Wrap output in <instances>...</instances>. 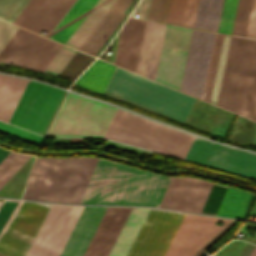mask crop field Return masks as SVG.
Here are the masks:
<instances>
[{"instance_id": "obj_13", "label": "crop field", "mask_w": 256, "mask_h": 256, "mask_svg": "<svg viewBox=\"0 0 256 256\" xmlns=\"http://www.w3.org/2000/svg\"><path fill=\"white\" fill-rule=\"evenodd\" d=\"M186 160L256 178V155L195 138Z\"/></svg>"}, {"instance_id": "obj_24", "label": "crop field", "mask_w": 256, "mask_h": 256, "mask_svg": "<svg viewBox=\"0 0 256 256\" xmlns=\"http://www.w3.org/2000/svg\"><path fill=\"white\" fill-rule=\"evenodd\" d=\"M28 80L0 74V119L8 122Z\"/></svg>"}, {"instance_id": "obj_15", "label": "crop field", "mask_w": 256, "mask_h": 256, "mask_svg": "<svg viewBox=\"0 0 256 256\" xmlns=\"http://www.w3.org/2000/svg\"><path fill=\"white\" fill-rule=\"evenodd\" d=\"M97 160L64 159L46 201L79 203Z\"/></svg>"}, {"instance_id": "obj_41", "label": "crop field", "mask_w": 256, "mask_h": 256, "mask_svg": "<svg viewBox=\"0 0 256 256\" xmlns=\"http://www.w3.org/2000/svg\"><path fill=\"white\" fill-rule=\"evenodd\" d=\"M246 37L256 38V0L253 1Z\"/></svg>"}, {"instance_id": "obj_17", "label": "crop field", "mask_w": 256, "mask_h": 256, "mask_svg": "<svg viewBox=\"0 0 256 256\" xmlns=\"http://www.w3.org/2000/svg\"><path fill=\"white\" fill-rule=\"evenodd\" d=\"M212 185L195 178H172L159 207L200 213Z\"/></svg>"}, {"instance_id": "obj_30", "label": "crop field", "mask_w": 256, "mask_h": 256, "mask_svg": "<svg viewBox=\"0 0 256 256\" xmlns=\"http://www.w3.org/2000/svg\"><path fill=\"white\" fill-rule=\"evenodd\" d=\"M30 158V156L11 152L0 163V189Z\"/></svg>"}, {"instance_id": "obj_14", "label": "crop field", "mask_w": 256, "mask_h": 256, "mask_svg": "<svg viewBox=\"0 0 256 256\" xmlns=\"http://www.w3.org/2000/svg\"><path fill=\"white\" fill-rule=\"evenodd\" d=\"M216 34L193 29L180 90L202 99Z\"/></svg>"}, {"instance_id": "obj_18", "label": "crop field", "mask_w": 256, "mask_h": 256, "mask_svg": "<svg viewBox=\"0 0 256 256\" xmlns=\"http://www.w3.org/2000/svg\"><path fill=\"white\" fill-rule=\"evenodd\" d=\"M145 21L128 18L121 28L118 38L115 65L136 70L138 54Z\"/></svg>"}, {"instance_id": "obj_16", "label": "crop field", "mask_w": 256, "mask_h": 256, "mask_svg": "<svg viewBox=\"0 0 256 256\" xmlns=\"http://www.w3.org/2000/svg\"><path fill=\"white\" fill-rule=\"evenodd\" d=\"M217 220L224 224L215 225ZM229 221L186 213L165 256H192Z\"/></svg>"}, {"instance_id": "obj_26", "label": "crop field", "mask_w": 256, "mask_h": 256, "mask_svg": "<svg viewBox=\"0 0 256 256\" xmlns=\"http://www.w3.org/2000/svg\"><path fill=\"white\" fill-rule=\"evenodd\" d=\"M114 69L115 66L97 59L75 83L102 94Z\"/></svg>"}, {"instance_id": "obj_39", "label": "crop field", "mask_w": 256, "mask_h": 256, "mask_svg": "<svg viewBox=\"0 0 256 256\" xmlns=\"http://www.w3.org/2000/svg\"><path fill=\"white\" fill-rule=\"evenodd\" d=\"M170 0H151L147 19L165 22Z\"/></svg>"}, {"instance_id": "obj_46", "label": "crop field", "mask_w": 256, "mask_h": 256, "mask_svg": "<svg viewBox=\"0 0 256 256\" xmlns=\"http://www.w3.org/2000/svg\"><path fill=\"white\" fill-rule=\"evenodd\" d=\"M250 256H256V246Z\"/></svg>"}, {"instance_id": "obj_25", "label": "crop field", "mask_w": 256, "mask_h": 256, "mask_svg": "<svg viewBox=\"0 0 256 256\" xmlns=\"http://www.w3.org/2000/svg\"><path fill=\"white\" fill-rule=\"evenodd\" d=\"M114 2L115 0H99L66 41L65 45L79 49Z\"/></svg>"}, {"instance_id": "obj_11", "label": "crop field", "mask_w": 256, "mask_h": 256, "mask_svg": "<svg viewBox=\"0 0 256 256\" xmlns=\"http://www.w3.org/2000/svg\"><path fill=\"white\" fill-rule=\"evenodd\" d=\"M183 215L150 209L127 256H163Z\"/></svg>"}, {"instance_id": "obj_27", "label": "crop field", "mask_w": 256, "mask_h": 256, "mask_svg": "<svg viewBox=\"0 0 256 256\" xmlns=\"http://www.w3.org/2000/svg\"><path fill=\"white\" fill-rule=\"evenodd\" d=\"M223 0H199L193 27L218 30Z\"/></svg>"}, {"instance_id": "obj_7", "label": "crop field", "mask_w": 256, "mask_h": 256, "mask_svg": "<svg viewBox=\"0 0 256 256\" xmlns=\"http://www.w3.org/2000/svg\"><path fill=\"white\" fill-rule=\"evenodd\" d=\"M115 111L69 93L47 136L103 137Z\"/></svg>"}, {"instance_id": "obj_1", "label": "crop field", "mask_w": 256, "mask_h": 256, "mask_svg": "<svg viewBox=\"0 0 256 256\" xmlns=\"http://www.w3.org/2000/svg\"><path fill=\"white\" fill-rule=\"evenodd\" d=\"M170 179L99 159L80 203L158 207Z\"/></svg>"}, {"instance_id": "obj_22", "label": "crop field", "mask_w": 256, "mask_h": 256, "mask_svg": "<svg viewBox=\"0 0 256 256\" xmlns=\"http://www.w3.org/2000/svg\"><path fill=\"white\" fill-rule=\"evenodd\" d=\"M71 206L53 204L27 256H47Z\"/></svg>"}, {"instance_id": "obj_5", "label": "crop field", "mask_w": 256, "mask_h": 256, "mask_svg": "<svg viewBox=\"0 0 256 256\" xmlns=\"http://www.w3.org/2000/svg\"><path fill=\"white\" fill-rule=\"evenodd\" d=\"M106 209L107 207L84 206L60 256H83ZM129 212L130 210L107 209L84 256H108Z\"/></svg>"}, {"instance_id": "obj_12", "label": "crop field", "mask_w": 256, "mask_h": 256, "mask_svg": "<svg viewBox=\"0 0 256 256\" xmlns=\"http://www.w3.org/2000/svg\"><path fill=\"white\" fill-rule=\"evenodd\" d=\"M191 31L166 24L155 81L179 90Z\"/></svg>"}, {"instance_id": "obj_38", "label": "crop field", "mask_w": 256, "mask_h": 256, "mask_svg": "<svg viewBox=\"0 0 256 256\" xmlns=\"http://www.w3.org/2000/svg\"><path fill=\"white\" fill-rule=\"evenodd\" d=\"M226 189L214 184L201 213L215 215Z\"/></svg>"}, {"instance_id": "obj_20", "label": "crop field", "mask_w": 256, "mask_h": 256, "mask_svg": "<svg viewBox=\"0 0 256 256\" xmlns=\"http://www.w3.org/2000/svg\"><path fill=\"white\" fill-rule=\"evenodd\" d=\"M165 24L146 21L136 72L153 80Z\"/></svg>"}, {"instance_id": "obj_2", "label": "crop field", "mask_w": 256, "mask_h": 256, "mask_svg": "<svg viewBox=\"0 0 256 256\" xmlns=\"http://www.w3.org/2000/svg\"><path fill=\"white\" fill-rule=\"evenodd\" d=\"M30 0H0V18L11 23ZM75 0H31L14 24L40 34L49 33ZM98 0H76L52 32L46 35L62 44Z\"/></svg>"}, {"instance_id": "obj_28", "label": "crop field", "mask_w": 256, "mask_h": 256, "mask_svg": "<svg viewBox=\"0 0 256 256\" xmlns=\"http://www.w3.org/2000/svg\"><path fill=\"white\" fill-rule=\"evenodd\" d=\"M198 0H171L166 22L192 27Z\"/></svg>"}, {"instance_id": "obj_10", "label": "crop field", "mask_w": 256, "mask_h": 256, "mask_svg": "<svg viewBox=\"0 0 256 256\" xmlns=\"http://www.w3.org/2000/svg\"><path fill=\"white\" fill-rule=\"evenodd\" d=\"M52 204L22 201L0 236V256H26Z\"/></svg>"}, {"instance_id": "obj_29", "label": "crop field", "mask_w": 256, "mask_h": 256, "mask_svg": "<svg viewBox=\"0 0 256 256\" xmlns=\"http://www.w3.org/2000/svg\"><path fill=\"white\" fill-rule=\"evenodd\" d=\"M249 195L228 188L216 215L239 218Z\"/></svg>"}, {"instance_id": "obj_9", "label": "crop field", "mask_w": 256, "mask_h": 256, "mask_svg": "<svg viewBox=\"0 0 256 256\" xmlns=\"http://www.w3.org/2000/svg\"><path fill=\"white\" fill-rule=\"evenodd\" d=\"M63 90L29 80L9 123L43 134Z\"/></svg>"}, {"instance_id": "obj_35", "label": "crop field", "mask_w": 256, "mask_h": 256, "mask_svg": "<svg viewBox=\"0 0 256 256\" xmlns=\"http://www.w3.org/2000/svg\"><path fill=\"white\" fill-rule=\"evenodd\" d=\"M229 38H230V36L224 35L221 52H220V56H219L213 91H212L211 100H210V102L215 105L217 103V98H218V93H219V88H220V83H221V78H222V73H223V68H224L228 43H229Z\"/></svg>"}, {"instance_id": "obj_21", "label": "crop field", "mask_w": 256, "mask_h": 256, "mask_svg": "<svg viewBox=\"0 0 256 256\" xmlns=\"http://www.w3.org/2000/svg\"><path fill=\"white\" fill-rule=\"evenodd\" d=\"M132 0H117L95 30L81 46L80 50L95 56L108 37L124 18V10Z\"/></svg>"}, {"instance_id": "obj_40", "label": "crop field", "mask_w": 256, "mask_h": 256, "mask_svg": "<svg viewBox=\"0 0 256 256\" xmlns=\"http://www.w3.org/2000/svg\"><path fill=\"white\" fill-rule=\"evenodd\" d=\"M4 201V200H3ZM20 202V201H19ZM18 202V204H19ZM3 203V202H2ZM17 202H11V201H4L3 205L0 208V231L3 228L4 224L6 223L8 217L10 216L11 212L13 211L14 207L16 206ZM17 204V206H18ZM17 206L15 207L14 211L12 212L11 216L9 217L8 221L14 214ZM7 221V222H8ZM7 224V223H6ZM5 224V225H6ZM5 227V226H4ZM3 230V229H2Z\"/></svg>"}, {"instance_id": "obj_4", "label": "crop field", "mask_w": 256, "mask_h": 256, "mask_svg": "<svg viewBox=\"0 0 256 256\" xmlns=\"http://www.w3.org/2000/svg\"><path fill=\"white\" fill-rule=\"evenodd\" d=\"M104 138L184 159L195 137L117 109Z\"/></svg>"}, {"instance_id": "obj_32", "label": "crop field", "mask_w": 256, "mask_h": 256, "mask_svg": "<svg viewBox=\"0 0 256 256\" xmlns=\"http://www.w3.org/2000/svg\"><path fill=\"white\" fill-rule=\"evenodd\" d=\"M253 0H239L232 34L245 37Z\"/></svg>"}, {"instance_id": "obj_6", "label": "crop field", "mask_w": 256, "mask_h": 256, "mask_svg": "<svg viewBox=\"0 0 256 256\" xmlns=\"http://www.w3.org/2000/svg\"><path fill=\"white\" fill-rule=\"evenodd\" d=\"M106 91L185 121L194 98L116 68Z\"/></svg>"}, {"instance_id": "obj_23", "label": "crop field", "mask_w": 256, "mask_h": 256, "mask_svg": "<svg viewBox=\"0 0 256 256\" xmlns=\"http://www.w3.org/2000/svg\"><path fill=\"white\" fill-rule=\"evenodd\" d=\"M149 209L132 208L109 256H126Z\"/></svg>"}, {"instance_id": "obj_42", "label": "crop field", "mask_w": 256, "mask_h": 256, "mask_svg": "<svg viewBox=\"0 0 256 256\" xmlns=\"http://www.w3.org/2000/svg\"><path fill=\"white\" fill-rule=\"evenodd\" d=\"M149 1L150 0H141V2L135 8V10L131 14V16L134 17L135 15H139L141 18L146 19L147 12H148Z\"/></svg>"}, {"instance_id": "obj_47", "label": "crop field", "mask_w": 256, "mask_h": 256, "mask_svg": "<svg viewBox=\"0 0 256 256\" xmlns=\"http://www.w3.org/2000/svg\"><path fill=\"white\" fill-rule=\"evenodd\" d=\"M0 204H1V202H0Z\"/></svg>"}, {"instance_id": "obj_19", "label": "crop field", "mask_w": 256, "mask_h": 256, "mask_svg": "<svg viewBox=\"0 0 256 256\" xmlns=\"http://www.w3.org/2000/svg\"><path fill=\"white\" fill-rule=\"evenodd\" d=\"M62 160L37 158L23 198L45 201Z\"/></svg>"}, {"instance_id": "obj_33", "label": "crop field", "mask_w": 256, "mask_h": 256, "mask_svg": "<svg viewBox=\"0 0 256 256\" xmlns=\"http://www.w3.org/2000/svg\"><path fill=\"white\" fill-rule=\"evenodd\" d=\"M238 0H224L218 32L231 34Z\"/></svg>"}, {"instance_id": "obj_3", "label": "crop field", "mask_w": 256, "mask_h": 256, "mask_svg": "<svg viewBox=\"0 0 256 256\" xmlns=\"http://www.w3.org/2000/svg\"><path fill=\"white\" fill-rule=\"evenodd\" d=\"M256 87V41L231 36L218 106L249 118Z\"/></svg>"}, {"instance_id": "obj_34", "label": "crop field", "mask_w": 256, "mask_h": 256, "mask_svg": "<svg viewBox=\"0 0 256 256\" xmlns=\"http://www.w3.org/2000/svg\"><path fill=\"white\" fill-rule=\"evenodd\" d=\"M75 52L76 50L63 45L52 61L45 68L44 72L58 75L71 57L75 54Z\"/></svg>"}, {"instance_id": "obj_43", "label": "crop field", "mask_w": 256, "mask_h": 256, "mask_svg": "<svg viewBox=\"0 0 256 256\" xmlns=\"http://www.w3.org/2000/svg\"><path fill=\"white\" fill-rule=\"evenodd\" d=\"M250 118L256 121V92H255V97H254V102H253Z\"/></svg>"}, {"instance_id": "obj_44", "label": "crop field", "mask_w": 256, "mask_h": 256, "mask_svg": "<svg viewBox=\"0 0 256 256\" xmlns=\"http://www.w3.org/2000/svg\"><path fill=\"white\" fill-rule=\"evenodd\" d=\"M10 153V151H6L0 148V162Z\"/></svg>"}, {"instance_id": "obj_45", "label": "crop field", "mask_w": 256, "mask_h": 256, "mask_svg": "<svg viewBox=\"0 0 256 256\" xmlns=\"http://www.w3.org/2000/svg\"><path fill=\"white\" fill-rule=\"evenodd\" d=\"M116 148H119V149H123V150L128 151L129 146H126V145H123V144L118 143L117 146H116Z\"/></svg>"}, {"instance_id": "obj_36", "label": "crop field", "mask_w": 256, "mask_h": 256, "mask_svg": "<svg viewBox=\"0 0 256 256\" xmlns=\"http://www.w3.org/2000/svg\"><path fill=\"white\" fill-rule=\"evenodd\" d=\"M0 132L22 139L24 141L40 145L43 136L0 122Z\"/></svg>"}, {"instance_id": "obj_31", "label": "crop field", "mask_w": 256, "mask_h": 256, "mask_svg": "<svg viewBox=\"0 0 256 256\" xmlns=\"http://www.w3.org/2000/svg\"><path fill=\"white\" fill-rule=\"evenodd\" d=\"M83 206H72L48 256H58L64 246Z\"/></svg>"}, {"instance_id": "obj_37", "label": "crop field", "mask_w": 256, "mask_h": 256, "mask_svg": "<svg viewBox=\"0 0 256 256\" xmlns=\"http://www.w3.org/2000/svg\"><path fill=\"white\" fill-rule=\"evenodd\" d=\"M222 37H223V35L217 34L215 45H214L209 74H208L206 88H205L204 97H203V99L208 102L210 100V95H211L212 85H213V81H214L219 51H220L221 42H222Z\"/></svg>"}, {"instance_id": "obj_8", "label": "crop field", "mask_w": 256, "mask_h": 256, "mask_svg": "<svg viewBox=\"0 0 256 256\" xmlns=\"http://www.w3.org/2000/svg\"><path fill=\"white\" fill-rule=\"evenodd\" d=\"M18 27L0 21V51ZM62 44L41 37L21 28L0 52V61H5L43 71Z\"/></svg>"}]
</instances>
